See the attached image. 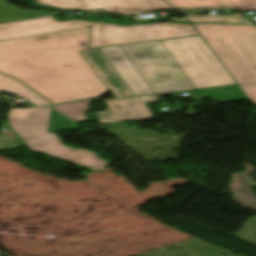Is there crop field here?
<instances>
[{
  "instance_id": "obj_16",
  "label": "crop field",
  "mask_w": 256,
  "mask_h": 256,
  "mask_svg": "<svg viewBox=\"0 0 256 256\" xmlns=\"http://www.w3.org/2000/svg\"><path fill=\"white\" fill-rule=\"evenodd\" d=\"M237 10H256V0H223Z\"/></svg>"
},
{
  "instance_id": "obj_10",
  "label": "crop field",
  "mask_w": 256,
  "mask_h": 256,
  "mask_svg": "<svg viewBox=\"0 0 256 256\" xmlns=\"http://www.w3.org/2000/svg\"><path fill=\"white\" fill-rule=\"evenodd\" d=\"M166 1L178 7L180 10H232L230 6H228L221 0H166Z\"/></svg>"
},
{
  "instance_id": "obj_2",
  "label": "crop field",
  "mask_w": 256,
  "mask_h": 256,
  "mask_svg": "<svg viewBox=\"0 0 256 256\" xmlns=\"http://www.w3.org/2000/svg\"><path fill=\"white\" fill-rule=\"evenodd\" d=\"M90 27L0 42V73L53 103L95 97L107 89L79 51Z\"/></svg>"
},
{
  "instance_id": "obj_11",
  "label": "crop field",
  "mask_w": 256,
  "mask_h": 256,
  "mask_svg": "<svg viewBox=\"0 0 256 256\" xmlns=\"http://www.w3.org/2000/svg\"><path fill=\"white\" fill-rule=\"evenodd\" d=\"M4 1L8 0H0V23L36 18L41 17L43 15H47L44 12L29 11L15 8L5 3Z\"/></svg>"
},
{
  "instance_id": "obj_13",
  "label": "crop field",
  "mask_w": 256,
  "mask_h": 256,
  "mask_svg": "<svg viewBox=\"0 0 256 256\" xmlns=\"http://www.w3.org/2000/svg\"><path fill=\"white\" fill-rule=\"evenodd\" d=\"M189 22H217L249 24L236 16L186 17Z\"/></svg>"
},
{
  "instance_id": "obj_1",
  "label": "crop field",
  "mask_w": 256,
  "mask_h": 256,
  "mask_svg": "<svg viewBox=\"0 0 256 256\" xmlns=\"http://www.w3.org/2000/svg\"><path fill=\"white\" fill-rule=\"evenodd\" d=\"M81 53L116 98L236 83L200 36Z\"/></svg>"
},
{
  "instance_id": "obj_9",
  "label": "crop field",
  "mask_w": 256,
  "mask_h": 256,
  "mask_svg": "<svg viewBox=\"0 0 256 256\" xmlns=\"http://www.w3.org/2000/svg\"><path fill=\"white\" fill-rule=\"evenodd\" d=\"M0 91L13 93L20 97H23L37 106L51 104L45 98L30 90L26 86L22 85L18 81L2 74H0Z\"/></svg>"
},
{
  "instance_id": "obj_12",
  "label": "crop field",
  "mask_w": 256,
  "mask_h": 256,
  "mask_svg": "<svg viewBox=\"0 0 256 256\" xmlns=\"http://www.w3.org/2000/svg\"><path fill=\"white\" fill-rule=\"evenodd\" d=\"M90 100L72 102L67 104L55 105L54 109L66 115L76 122L88 120L84 113L86 112L87 106Z\"/></svg>"
},
{
  "instance_id": "obj_7",
  "label": "crop field",
  "mask_w": 256,
  "mask_h": 256,
  "mask_svg": "<svg viewBox=\"0 0 256 256\" xmlns=\"http://www.w3.org/2000/svg\"><path fill=\"white\" fill-rule=\"evenodd\" d=\"M156 95L108 100L107 112L98 113L100 123L135 121L152 118L145 103L157 102Z\"/></svg>"
},
{
  "instance_id": "obj_14",
  "label": "crop field",
  "mask_w": 256,
  "mask_h": 256,
  "mask_svg": "<svg viewBox=\"0 0 256 256\" xmlns=\"http://www.w3.org/2000/svg\"><path fill=\"white\" fill-rule=\"evenodd\" d=\"M76 128L77 126L75 123L66 119L65 117L58 114L57 112L53 111L52 126H51L50 132H56L58 130L76 129Z\"/></svg>"
},
{
  "instance_id": "obj_5",
  "label": "crop field",
  "mask_w": 256,
  "mask_h": 256,
  "mask_svg": "<svg viewBox=\"0 0 256 256\" xmlns=\"http://www.w3.org/2000/svg\"><path fill=\"white\" fill-rule=\"evenodd\" d=\"M51 108L11 109L9 125L32 151L68 160L86 168L104 169L109 163L86 149L65 146L55 133H48Z\"/></svg>"
},
{
  "instance_id": "obj_6",
  "label": "crop field",
  "mask_w": 256,
  "mask_h": 256,
  "mask_svg": "<svg viewBox=\"0 0 256 256\" xmlns=\"http://www.w3.org/2000/svg\"><path fill=\"white\" fill-rule=\"evenodd\" d=\"M38 3L58 8L95 10L103 8L118 14H136L145 11L175 9L164 0H37Z\"/></svg>"
},
{
  "instance_id": "obj_4",
  "label": "crop field",
  "mask_w": 256,
  "mask_h": 256,
  "mask_svg": "<svg viewBox=\"0 0 256 256\" xmlns=\"http://www.w3.org/2000/svg\"><path fill=\"white\" fill-rule=\"evenodd\" d=\"M237 83L256 84V28L193 24Z\"/></svg>"
},
{
  "instance_id": "obj_3",
  "label": "crop field",
  "mask_w": 256,
  "mask_h": 256,
  "mask_svg": "<svg viewBox=\"0 0 256 256\" xmlns=\"http://www.w3.org/2000/svg\"><path fill=\"white\" fill-rule=\"evenodd\" d=\"M87 26H91L89 48L198 35L191 24L163 22L121 27L114 24L78 20L57 22L49 16L0 25V41Z\"/></svg>"
},
{
  "instance_id": "obj_17",
  "label": "crop field",
  "mask_w": 256,
  "mask_h": 256,
  "mask_svg": "<svg viewBox=\"0 0 256 256\" xmlns=\"http://www.w3.org/2000/svg\"><path fill=\"white\" fill-rule=\"evenodd\" d=\"M240 86L256 106V86H253V85H240Z\"/></svg>"
},
{
  "instance_id": "obj_15",
  "label": "crop field",
  "mask_w": 256,
  "mask_h": 256,
  "mask_svg": "<svg viewBox=\"0 0 256 256\" xmlns=\"http://www.w3.org/2000/svg\"><path fill=\"white\" fill-rule=\"evenodd\" d=\"M22 145L24 143L18 135L7 138L0 134V150H14Z\"/></svg>"
},
{
  "instance_id": "obj_8",
  "label": "crop field",
  "mask_w": 256,
  "mask_h": 256,
  "mask_svg": "<svg viewBox=\"0 0 256 256\" xmlns=\"http://www.w3.org/2000/svg\"><path fill=\"white\" fill-rule=\"evenodd\" d=\"M197 102L202 98L209 97L214 102H232L249 100L239 85L220 87L214 89L194 90L190 91Z\"/></svg>"
}]
</instances>
